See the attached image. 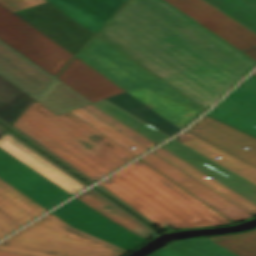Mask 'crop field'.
<instances>
[{"label":"crop field","instance_id":"00972430","mask_svg":"<svg viewBox=\"0 0 256 256\" xmlns=\"http://www.w3.org/2000/svg\"><path fill=\"white\" fill-rule=\"evenodd\" d=\"M36 100L56 115L90 103L58 79H55Z\"/></svg>","mask_w":256,"mask_h":256},{"label":"crop field","instance_id":"4a817a6b","mask_svg":"<svg viewBox=\"0 0 256 256\" xmlns=\"http://www.w3.org/2000/svg\"><path fill=\"white\" fill-rule=\"evenodd\" d=\"M0 147L72 195L85 187L6 133L0 138Z\"/></svg>","mask_w":256,"mask_h":256},{"label":"crop field","instance_id":"028f5c9d","mask_svg":"<svg viewBox=\"0 0 256 256\" xmlns=\"http://www.w3.org/2000/svg\"><path fill=\"white\" fill-rule=\"evenodd\" d=\"M0 256H26V255H20V254H14V253L0 251Z\"/></svg>","mask_w":256,"mask_h":256},{"label":"crop field","instance_id":"ac0d7876","mask_svg":"<svg viewBox=\"0 0 256 256\" xmlns=\"http://www.w3.org/2000/svg\"><path fill=\"white\" fill-rule=\"evenodd\" d=\"M98 185L160 228L232 224L140 159Z\"/></svg>","mask_w":256,"mask_h":256},{"label":"crop field","instance_id":"d9b57169","mask_svg":"<svg viewBox=\"0 0 256 256\" xmlns=\"http://www.w3.org/2000/svg\"><path fill=\"white\" fill-rule=\"evenodd\" d=\"M45 211L47 210L0 180V238Z\"/></svg>","mask_w":256,"mask_h":256},{"label":"crop field","instance_id":"92a150f3","mask_svg":"<svg viewBox=\"0 0 256 256\" xmlns=\"http://www.w3.org/2000/svg\"><path fill=\"white\" fill-rule=\"evenodd\" d=\"M206 115L256 137V110L228 97L221 100Z\"/></svg>","mask_w":256,"mask_h":256},{"label":"crop field","instance_id":"214f88e0","mask_svg":"<svg viewBox=\"0 0 256 256\" xmlns=\"http://www.w3.org/2000/svg\"><path fill=\"white\" fill-rule=\"evenodd\" d=\"M191 149L199 152L207 158L242 176L243 178L256 184V168L231 156L230 154L208 144L207 142L187 133L182 132L173 138ZM220 156L217 160L215 157Z\"/></svg>","mask_w":256,"mask_h":256},{"label":"crop field","instance_id":"5a996713","mask_svg":"<svg viewBox=\"0 0 256 256\" xmlns=\"http://www.w3.org/2000/svg\"><path fill=\"white\" fill-rule=\"evenodd\" d=\"M256 61V34L204 0H166Z\"/></svg>","mask_w":256,"mask_h":256},{"label":"crop field","instance_id":"e52e79f7","mask_svg":"<svg viewBox=\"0 0 256 256\" xmlns=\"http://www.w3.org/2000/svg\"><path fill=\"white\" fill-rule=\"evenodd\" d=\"M0 3L74 55L94 35L46 0Z\"/></svg>","mask_w":256,"mask_h":256},{"label":"crop field","instance_id":"dafd665d","mask_svg":"<svg viewBox=\"0 0 256 256\" xmlns=\"http://www.w3.org/2000/svg\"><path fill=\"white\" fill-rule=\"evenodd\" d=\"M152 152L167 160L171 164L175 165L179 169L183 170L187 174L191 175L195 179L199 180L203 184L207 185L211 189L215 190L219 194L223 195L227 199L231 200L235 204L247 210L248 212L256 214V204L252 203L251 201L247 200L246 198L242 197L241 195L237 194L236 192L232 191L231 189L227 188L226 186L222 185L216 180L212 178H205L207 177L206 175L191 167L190 165L186 164L177 157L173 156L172 154L168 153L164 149L159 147Z\"/></svg>","mask_w":256,"mask_h":256},{"label":"crop field","instance_id":"e1f06a70","mask_svg":"<svg viewBox=\"0 0 256 256\" xmlns=\"http://www.w3.org/2000/svg\"><path fill=\"white\" fill-rule=\"evenodd\" d=\"M1 44H5V43H4L3 41H1V40H0V45H1Z\"/></svg>","mask_w":256,"mask_h":256},{"label":"crop field","instance_id":"0bd39190","mask_svg":"<svg viewBox=\"0 0 256 256\" xmlns=\"http://www.w3.org/2000/svg\"><path fill=\"white\" fill-rule=\"evenodd\" d=\"M253 75H256V71L253 73Z\"/></svg>","mask_w":256,"mask_h":256},{"label":"crop field","instance_id":"bc2a9ffb","mask_svg":"<svg viewBox=\"0 0 256 256\" xmlns=\"http://www.w3.org/2000/svg\"><path fill=\"white\" fill-rule=\"evenodd\" d=\"M97 34L109 41L111 44L116 46L118 49L123 51L125 54L133 58L135 61L140 63L142 66L150 70L152 73L160 77L162 80L170 84L172 87L177 89L179 92L187 96L189 99L197 103L205 110L213 103L205 99L203 96L183 84L181 81L170 75L168 72L163 70L161 67L153 63L151 60L146 58L144 55L139 53L137 50L132 48L130 45L125 43L123 40L115 36L113 33L108 31L106 28H102Z\"/></svg>","mask_w":256,"mask_h":256},{"label":"crop field","instance_id":"eef30255","mask_svg":"<svg viewBox=\"0 0 256 256\" xmlns=\"http://www.w3.org/2000/svg\"><path fill=\"white\" fill-rule=\"evenodd\" d=\"M256 33V0H206Z\"/></svg>","mask_w":256,"mask_h":256},{"label":"crop field","instance_id":"120bbe31","mask_svg":"<svg viewBox=\"0 0 256 256\" xmlns=\"http://www.w3.org/2000/svg\"><path fill=\"white\" fill-rule=\"evenodd\" d=\"M228 97L256 109V76L248 77Z\"/></svg>","mask_w":256,"mask_h":256},{"label":"crop field","instance_id":"d1516ede","mask_svg":"<svg viewBox=\"0 0 256 256\" xmlns=\"http://www.w3.org/2000/svg\"><path fill=\"white\" fill-rule=\"evenodd\" d=\"M186 131L256 167V138L206 115Z\"/></svg>","mask_w":256,"mask_h":256},{"label":"crop field","instance_id":"4177f3b9","mask_svg":"<svg viewBox=\"0 0 256 256\" xmlns=\"http://www.w3.org/2000/svg\"><path fill=\"white\" fill-rule=\"evenodd\" d=\"M92 105L156 144L169 137V135L163 133L162 131L156 129L155 127L140 120L139 118L105 99Z\"/></svg>","mask_w":256,"mask_h":256},{"label":"crop field","instance_id":"cbeb9de0","mask_svg":"<svg viewBox=\"0 0 256 256\" xmlns=\"http://www.w3.org/2000/svg\"><path fill=\"white\" fill-rule=\"evenodd\" d=\"M182 159L186 163L200 170L204 174L216 179L252 202L256 203V185L207 159L199 153L182 145L181 143L170 140L164 145L160 146ZM197 160L193 161L192 159Z\"/></svg>","mask_w":256,"mask_h":256},{"label":"crop field","instance_id":"412701ff","mask_svg":"<svg viewBox=\"0 0 256 256\" xmlns=\"http://www.w3.org/2000/svg\"><path fill=\"white\" fill-rule=\"evenodd\" d=\"M76 57L180 129L205 111L97 34Z\"/></svg>","mask_w":256,"mask_h":256},{"label":"crop field","instance_id":"1d83c4d3","mask_svg":"<svg viewBox=\"0 0 256 256\" xmlns=\"http://www.w3.org/2000/svg\"><path fill=\"white\" fill-rule=\"evenodd\" d=\"M89 113L93 114L94 116L98 117L102 121L106 122L107 124L111 125L112 127L116 128L120 132L124 133L125 135L129 136L133 140L137 141L145 148H150L156 144L152 143L151 141L147 140L146 138L142 137L138 133L134 132L133 130L129 129L128 127L124 126L123 124L119 123L118 121L114 120L113 118L109 117L105 113L101 112L100 110L96 109L95 107L91 106L90 104L82 107Z\"/></svg>","mask_w":256,"mask_h":256},{"label":"crop field","instance_id":"ae1a2a85","mask_svg":"<svg viewBox=\"0 0 256 256\" xmlns=\"http://www.w3.org/2000/svg\"><path fill=\"white\" fill-rule=\"evenodd\" d=\"M72 114L80 118L81 120L85 121L98 131H100L102 134L107 136L109 139H111L113 142L124 148L129 153L137 156L140 153L144 152L145 149L137 142L133 141L129 137L125 136L124 134L120 133L116 129L112 128L111 126L107 125L106 123L102 122L98 118L94 117L93 115L89 114L85 110L79 108L73 111H70ZM134 146L137 149L132 150L130 147Z\"/></svg>","mask_w":256,"mask_h":256},{"label":"crop field","instance_id":"a9b5d70f","mask_svg":"<svg viewBox=\"0 0 256 256\" xmlns=\"http://www.w3.org/2000/svg\"><path fill=\"white\" fill-rule=\"evenodd\" d=\"M106 99L170 136L180 130L127 92Z\"/></svg>","mask_w":256,"mask_h":256},{"label":"crop field","instance_id":"d8731c3e","mask_svg":"<svg viewBox=\"0 0 256 256\" xmlns=\"http://www.w3.org/2000/svg\"><path fill=\"white\" fill-rule=\"evenodd\" d=\"M51 213L67 224L127 251L145 241L75 198Z\"/></svg>","mask_w":256,"mask_h":256},{"label":"crop field","instance_id":"8a807250","mask_svg":"<svg viewBox=\"0 0 256 256\" xmlns=\"http://www.w3.org/2000/svg\"><path fill=\"white\" fill-rule=\"evenodd\" d=\"M104 27L211 102L256 62L164 0H129Z\"/></svg>","mask_w":256,"mask_h":256},{"label":"crop field","instance_id":"750c4746","mask_svg":"<svg viewBox=\"0 0 256 256\" xmlns=\"http://www.w3.org/2000/svg\"><path fill=\"white\" fill-rule=\"evenodd\" d=\"M238 256H256V229L242 234L206 237Z\"/></svg>","mask_w":256,"mask_h":256},{"label":"crop field","instance_id":"733c2abd","mask_svg":"<svg viewBox=\"0 0 256 256\" xmlns=\"http://www.w3.org/2000/svg\"><path fill=\"white\" fill-rule=\"evenodd\" d=\"M92 33L119 9L126 0H47Z\"/></svg>","mask_w":256,"mask_h":256},{"label":"crop field","instance_id":"bd1437ed","mask_svg":"<svg viewBox=\"0 0 256 256\" xmlns=\"http://www.w3.org/2000/svg\"><path fill=\"white\" fill-rule=\"evenodd\" d=\"M75 198L79 199L80 201L87 204L91 208L95 209L96 211L100 212L101 214L115 221L121 226L127 228L133 233L139 235L140 237L144 239L151 237L144 233L143 231H141L140 229H138L137 227H135L134 225H132L131 223H129L128 221H126L125 219H123L122 217H120L119 215H117L116 213H114L113 211H111L110 209H108L107 207H105L104 205H102L101 203H99L98 201H96L95 199H93L92 197H90L89 195H87L86 193L83 192Z\"/></svg>","mask_w":256,"mask_h":256},{"label":"crop field","instance_id":"34b2d1b8","mask_svg":"<svg viewBox=\"0 0 256 256\" xmlns=\"http://www.w3.org/2000/svg\"><path fill=\"white\" fill-rule=\"evenodd\" d=\"M12 126L93 181L136 158L71 113L56 116L36 100Z\"/></svg>","mask_w":256,"mask_h":256},{"label":"crop field","instance_id":"d32e631a","mask_svg":"<svg viewBox=\"0 0 256 256\" xmlns=\"http://www.w3.org/2000/svg\"><path fill=\"white\" fill-rule=\"evenodd\" d=\"M85 192L87 194H89L90 196H92L93 198H95L96 200H98L99 202H101L102 204H104L105 206H107L108 208H110L111 210H113L114 212H116L117 214H119L120 216H122L123 218H125L126 220H128L129 222H131L132 224H134L135 226H137L138 228H140L141 230H143L144 232H146L147 234H149V235L153 234V231H151L147 227L143 226L142 224H140L139 222H137L136 220H134L133 218H131L127 214L120 211L119 209H117L116 207L111 205L109 202H107L106 200H104L103 198L98 196L93 191L87 190Z\"/></svg>","mask_w":256,"mask_h":256},{"label":"crop field","instance_id":"dd49c442","mask_svg":"<svg viewBox=\"0 0 256 256\" xmlns=\"http://www.w3.org/2000/svg\"><path fill=\"white\" fill-rule=\"evenodd\" d=\"M0 39L54 76L74 56L1 4Z\"/></svg>","mask_w":256,"mask_h":256},{"label":"crop field","instance_id":"f4fd0767","mask_svg":"<svg viewBox=\"0 0 256 256\" xmlns=\"http://www.w3.org/2000/svg\"><path fill=\"white\" fill-rule=\"evenodd\" d=\"M50 213L0 242V250L31 256H118L127 252Z\"/></svg>","mask_w":256,"mask_h":256},{"label":"crop field","instance_id":"5866460e","mask_svg":"<svg viewBox=\"0 0 256 256\" xmlns=\"http://www.w3.org/2000/svg\"><path fill=\"white\" fill-rule=\"evenodd\" d=\"M149 256H184L179 253L173 252L171 250L165 249L163 247L159 248Z\"/></svg>","mask_w":256,"mask_h":256},{"label":"crop field","instance_id":"3316defc","mask_svg":"<svg viewBox=\"0 0 256 256\" xmlns=\"http://www.w3.org/2000/svg\"><path fill=\"white\" fill-rule=\"evenodd\" d=\"M0 178L48 210L72 196L1 148Z\"/></svg>","mask_w":256,"mask_h":256},{"label":"crop field","instance_id":"5142ce71","mask_svg":"<svg viewBox=\"0 0 256 256\" xmlns=\"http://www.w3.org/2000/svg\"><path fill=\"white\" fill-rule=\"evenodd\" d=\"M56 78L92 103L124 92L76 57Z\"/></svg>","mask_w":256,"mask_h":256},{"label":"crop field","instance_id":"22f410ed","mask_svg":"<svg viewBox=\"0 0 256 256\" xmlns=\"http://www.w3.org/2000/svg\"><path fill=\"white\" fill-rule=\"evenodd\" d=\"M0 75L33 98L54 78L7 44L0 46Z\"/></svg>","mask_w":256,"mask_h":256},{"label":"crop field","instance_id":"730fd06b","mask_svg":"<svg viewBox=\"0 0 256 256\" xmlns=\"http://www.w3.org/2000/svg\"><path fill=\"white\" fill-rule=\"evenodd\" d=\"M0 98L3 99H0V118L9 124L33 100L2 76H0Z\"/></svg>","mask_w":256,"mask_h":256},{"label":"crop field","instance_id":"28ad6ade","mask_svg":"<svg viewBox=\"0 0 256 256\" xmlns=\"http://www.w3.org/2000/svg\"><path fill=\"white\" fill-rule=\"evenodd\" d=\"M140 159L222 214L227 219L240 221L252 217V215L247 211L243 210L154 153L150 152Z\"/></svg>","mask_w":256,"mask_h":256},{"label":"crop field","instance_id":"d3111659","mask_svg":"<svg viewBox=\"0 0 256 256\" xmlns=\"http://www.w3.org/2000/svg\"><path fill=\"white\" fill-rule=\"evenodd\" d=\"M163 247L186 256H236L204 237L175 241Z\"/></svg>","mask_w":256,"mask_h":256}]
</instances>
